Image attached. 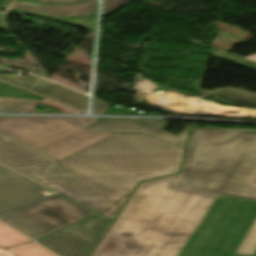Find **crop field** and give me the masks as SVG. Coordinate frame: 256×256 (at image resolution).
Returning <instances> with one entry per match:
<instances>
[{
    "label": "crop field",
    "instance_id": "crop-field-1",
    "mask_svg": "<svg viewBox=\"0 0 256 256\" xmlns=\"http://www.w3.org/2000/svg\"><path fill=\"white\" fill-rule=\"evenodd\" d=\"M255 217L256 130L194 129L183 174L141 184L92 256H239Z\"/></svg>",
    "mask_w": 256,
    "mask_h": 256
},
{
    "label": "crop field",
    "instance_id": "crop-field-2",
    "mask_svg": "<svg viewBox=\"0 0 256 256\" xmlns=\"http://www.w3.org/2000/svg\"><path fill=\"white\" fill-rule=\"evenodd\" d=\"M184 151L145 134H115L57 162L0 133V163L108 218L139 182L179 172Z\"/></svg>",
    "mask_w": 256,
    "mask_h": 256
},
{
    "label": "crop field",
    "instance_id": "crop-field-3",
    "mask_svg": "<svg viewBox=\"0 0 256 256\" xmlns=\"http://www.w3.org/2000/svg\"><path fill=\"white\" fill-rule=\"evenodd\" d=\"M44 187L0 165V220L34 240L77 222L93 212L58 195L38 193Z\"/></svg>",
    "mask_w": 256,
    "mask_h": 256
},
{
    "label": "crop field",
    "instance_id": "crop-field-4",
    "mask_svg": "<svg viewBox=\"0 0 256 256\" xmlns=\"http://www.w3.org/2000/svg\"><path fill=\"white\" fill-rule=\"evenodd\" d=\"M98 118L9 116L0 121V132L60 161L110 135L85 130Z\"/></svg>",
    "mask_w": 256,
    "mask_h": 256
},
{
    "label": "crop field",
    "instance_id": "crop-field-5",
    "mask_svg": "<svg viewBox=\"0 0 256 256\" xmlns=\"http://www.w3.org/2000/svg\"><path fill=\"white\" fill-rule=\"evenodd\" d=\"M112 222L97 214L37 241L60 256H89Z\"/></svg>",
    "mask_w": 256,
    "mask_h": 256
},
{
    "label": "crop field",
    "instance_id": "crop-field-6",
    "mask_svg": "<svg viewBox=\"0 0 256 256\" xmlns=\"http://www.w3.org/2000/svg\"><path fill=\"white\" fill-rule=\"evenodd\" d=\"M97 5V0L75 5H42L14 1L11 11L30 14L75 26L95 29Z\"/></svg>",
    "mask_w": 256,
    "mask_h": 256
},
{
    "label": "crop field",
    "instance_id": "crop-field-7",
    "mask_svg": "<svg viewBox=\"0 0 256 256\" xmlns=\"http://www.w3.org/2000/svg\"><path fill=\"white\" fill-rule=\"evenodd\" d=\"M168 122L155 119H104L85 129L111 133H145L184 148L190 128L186 127L180 135L176 136L163 131Z\"/></svg>",
    "mask_w": 256,
    "mask_h": 256
},
{
    "label": "crop field",
    "instance_id": "crop-field-8",
    "mask_svg": "<svg viewBox=\"0 0 256 256\" xmlns=\"http://www.w3.org/2000/svg\"><path fill=\"white\" fill-rule=\"evenodd\" d=\"M0 82L78 109L80 111H86V96L61 85L47 82L35 77L15 75H0Z\"/></svg>",
    "mask_w": 256,
    "mask_h": 256
},
{
    "label": "crop field",
    "instance_id": "crop-field-9",
    "mask_svg": "<svg viewBox=\"0 0 256 256\" xmlns=\"http://www.w3.org/2000/svg\"><path fill=\"white\" fill-rule=\"evenodd\" d=\"M27 241L31 240L0 222V247L5 248Z\"/></svg>",
    "mask_w": 256,
    "mask_h": 256
},
{
    "label": "crop field",
    "instance_id": "crop-field-10",
    "mask_svg": "<svg viewBox=\"0 0 256 256\" xmlns=\"http://www.w3.org/2000/svg\"><path fill=\"white\" fill-rule=\"evenodd\" d=\"M18 256H56L45 248L39 246L38 244L32 242L17 246L14 248L6 249Z\"/></svg>",
    "mask_w": 256,
    "mask_h": 256
},
{
    "label": "crop field",
    "instance_id": "crop-field-11",
    "mask_svg": "<svg viewBox=\"0 0 256 256\" xmlns=\"http://www.w3.org/2000/svg\"><path fill=\"white\" fill-rule=\"evenodd\" d=\"M36 102L38 101L29 99L0 97V112H17Z\"/></svg>",
    "mask_w": 256,
    "mask_h": 256
},
{
    "label": "crop field",
    "instance_id": "crop-field-12",
    "mask_svg": "<svg viewBox=\"0 0 256 256\" xmlns=\"http://www.w3.org/2000/svg\"><path fill=\"white\" fill-rule=\"evenodd\" d=\"M256 250V222L248 232L247 236L241 243L236 254L252 256Z\"/></svg>",
    "mask_w": 256,
    "mask_h": 256
},
{
    "label": "crop field",
    "instance_id": "crop-field-13",
    "mask_svg": "<svg viewBox=\"0 0 256 256\" xmlns=\"http://www.w3.org/2000/svg\"><path fill=\"white\" fill-rule=\"evenodd\" d=\"M0 96L30 98V99H38V100L44 99L39 96L30 94L28 92L19 90L17 88L11 87L3 83H0Z\"/></svg>",
    "mask_w": 256,
    "mask_h": 256
},
{
    "label": "crop field",
    "instance_id": "crop-field-14",
    "mask_svg": "<svg viewBox=\"0 0 256 256\" xmlns=\"http://www.w3.org/2000/svg\"><path fill=\"white\" fill-rule=\"evenodd\" d=\"M40 103H43V104H45L47 106H50V107H52L54 109H57V110H59V111H61L63 113H83V112H80L78 110L66 107L64 105L52 102V101L47 100V99L41 100L38 103H36V104H34V105H32V106H30V107L20 111V112L39 113V112H37V111H35V110L31 109V108L36 106V105H38V104H40Z\"/></svg>",
    "mask_w": 256,
    "mask_h": 256
},
{
    "label": "crop field",
    "instance_id": "crop-field-15",
    "mask_svg": "<svg viewBox=\"0 0 256 256\" xmlns=\"http://www.w3.org/2000/svg\"><path fill=\"white\" fill-rule=\"evenodd\" d=\"M130 0H104V11L103 16L109 15L115 10L123 7Z\"/></svg>",
    "mask_w": 256,
    "mask_h": 256
},
{
    "label": "crop field",
    "instance_id": "crop-field-16",
    "mask_svg": "<svg viewBox=\"0 0 256 256\" xmlns=\"http://www.w3.org/2000/svg\"><path fill=\"white\" fill-rule=\"evenodd\" d=\"M106 115H149V116H161L157 114H137L131 110H121L117 108H109L106 112Z\"/></svg>",
    "mask_w": 256,
    "mask_h": 256
},
{
    "label": "crop field",
    "instance_id": "crop-field-17",
    "mask_svg": "<svg viewBox=\"0 0 256 256\" xmlns=\"http://www.w3.org/2000/svg\"><path fill=\"white\" fill-rule=\"evenodd\" d=\"M110 106L111 104L95 100L93 105V112L96 114H104Z\"/></svg>",
    "mask_w": 256,
    "mask_h": 256
},
{
    "label": "crop field",
    "instance_id": "crop-field-18",
    "mask_svg": "<svg viewBox=\"0 0 256 256\" xmlns=\"http://www.w3.org/2000/svg\"><path fill=\"white\" fill-rule=\"evenodd\" d=\"M37 2H47V3H76L80 1H85V0H33Z\"/></svg>",
    "mask_w": 256,
    "mask_h": 256
},
{
    "label": "crop field",
    "instance_id": "crop-field-19",
    "mask_svg": "<svg viewBox=\"0 0 256 256\" xmlns=\"http://www.w3.org/2000/svg\"><path fill=\"white\" fill-rule=\"evenodd\" d=\"M0 256H16V255H14L6 250L0 249Z\"/></svg>",
    "mask_w": 256,
    "mask_h": 256
},
{
    "label": "crop field",
    "instance_id": "crop-field-20",
    "mask_svg": "<svg viewBox=\"0 0 256 256\" xmlns=\"http://www.w3.org/2000/svg\"><path fill=\"white\" fill-rule=\"evenodd\" d=\"M247 59H250V60H253L256 62V55H252V56H249V57H245Z\"/></svg>",
    "mask_w": 256,
    "mask_h": 256
},
{
    "label": "crop field",
    "instance_id": "crop-field-21",
    "mask_svg": "<svg viewBox=\"0 0 256 256\" xmlns=\"http://www.w3.org/2000/svg\"><path fill=\"white\" fill-rule=\"evenodd\" d=\"M5 117H7V116H0V120L3 119V118H5Z\"/></svg>",
    "mask_w": 256,
    "mask_h": 256
},
{
    "label": "crop field",
    "instance_id": "crop-field-22",
    "mask_svg": "<svg viewBox=\"0 0 256 256\" xmlns=\"http://www.w3.org/2000/svg\"><path fill=\"white\" fill-rule=\"evenodd\" d=\"M253 256H256V251H255V253L253 254Z\"/></svg>",
    "mask_w": 256,
    "mask_h": 256
}]
</instances>
